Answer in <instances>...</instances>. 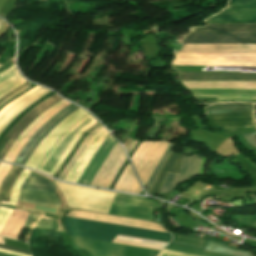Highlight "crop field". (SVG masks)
I'll use <instances>...</instances> for the list:
<instances>
[{
    "label": "crop field",
    "mask_w": 256,
    "mask_h": 256,
    "mask_svg": "<svg viewBox=\"0 0 256 256\" xmlns=\"http://www.w3.org/2000/svg\"><path fill=\"white\" fill-rule=\"evenodd\" d=\"M65 226L70 235L79 236L84 238H90L100 241H107L110 242L113 235H123L159 242L168 243L171 239L169 234L135 229L127 226H120V225H112V224H105L95 221L89 220H81V219H74L65 217ZM115 235L112 242L114 243H121L151 249L161 250L166 244L117 236Z\"/></svg>",
    "instance_id": "crop-field-1"
},
{
    "label": "crop field",
    "mask_w": 256,
    "mask_h": 256,
    "mask_svg": "<svg viewBox=\"0 0 256 256\" xmlns=\"http://www.w3.org/2000/svg\"><path fill=\"white\" fill-rule=\"evenodd\" d=\"M55 184L64 195L68 206L105 214H108L110 205L116 194L114 192L67 185L59 182H55Z\"/></svg>",
    "instance_id": "crop-field-2"
},
{
    "label": "crop field",
    "mask_w": 256,
    "mask_h": 256,
    "mask_svg": "<svg viewBox=\"0 0 256 256\" xmlns=\"http://www.w3.org/2000/svg\"><path fill=\"white\" fill-rule=\"evenodd\" d=\"M70 237L75 247L87 251L90 256H156L159 253L157 250Z\"/></svg>",
    "instance_id": "crop-field-3"
},
{
    "label": "crop field",
    "mask_w": 256,
    "mask_h": 256,
    "mask_svg": "<svg viewBox=\"0 0 256 256\" xmlns=\"http://www.w3.org/2000/svg\"><path fill=\"white\" fill-rule=\"evenodd\" d=\"M152 207L160 205L151 199L117 193L109 214L151 220Z\"/></svg>",
    "instance_id": "crop-field-4"
},
{
    "label": "crop field",
    "mask_w": 256,
    "mask_h": 256,
    "mask_svg": "<svg viewBox=\"0 0 256 256\" xmlns=\"http://www.w3.org/2000/svg\"><path fill=\"white\" fill-rule=\"evenodd\" d=\"M168 145L165 141L141 142L136 150L132 161L143 186Z\"/></svg>",
    "instance_id": "crop-field-5"
},
{
    "label": "crop field",
    "mask_w": 256,
    "mask_h": 256,
    "mask_svg": "<svg viewBox=\"0 0 256 256\" xmlns=\"http://www.w3.org/2000/svg\"><path fill=\"white\" fill-rule=\"evenodd\" d=\"M170 244L196 248L214 253L232 255V256H254L253 253L232 249L226 245L206 240L203 238L192 237L188 235H174Z\"/></svg>",
    "instance_id": "crop-field-6"
},
{
    "label": "crop field",
    "mask_w": 256,
    "mask_h": 256,
    "mask_svg": "<svg viewBox=\"0 0 256 256\" xmlns=\"http://www.w3.org/2000/svg\"><path fill=\"white\" fill-rule=\"evenodd\" d=\"M125 159L124 150L117 142L99 169L91 185L109 188Z\"/></svg>",
    "instance_id": "crop-field-7"
},
{
    "label": "crop field",
    "mask_w": 256,
    "mask_h": 256,
    "mask_svg": "<svg viewBox=\"0 0 256 256\" xmlns=\"http://www.w3.org/2000/svg\"><path fill=\"white\" fill-rule=\"evenodd\" d=\"M183 43L256 44V34L189 33Z\"/></svg>",
    "instance_id": "crop-field-8"
},
{
    "label": "crop field",
    "mask_w": 256,
    "mask_h": 256,
    "mask_svg": "<svg viewBox=\"0 0 256 256\" xmlns=\"http://www.w3.org/2000/svg\"><path fill=\"white\" fill-rule=\"evenodd\" d=\"M86 111L80 109L67 119H65L53 132H51L45 140L41 143L38 147L32 158L26 164L27 167L34 168L38 166L46 152L52 146V144L68 129L70 128L75 122H77L80 118L86 115ZM54 145V144H53Z\"/></svg>",
    "instance_id": "crop-field-9"
},
{
    "label": "crop field",
    "mask_w": 256,
    "mask_h": 256,
    "mask_svg": "<svg viewBox=\"0 0 256 256\" xmlns=\"http://www.w3.org/2000/svg\"><path fill=\"white\" fill-rule=\"evenodd\" d=\"M67 216L81 218V219L95 220V221H100V222H105V223L134 226V227L145 228V229L168 233L163 227H161L158 224L140 221V220L129 219V218L92 213V212H87V211H82V210H73V211L69 212L67 214Z\"/></svg>",
    "instance_id": "crop-field-10"
},
{
    "label": "crop field",
    "mask_w": 256,
    "mask_h": 256,
    "mask_svg": "<svg viewBox=\"0 0 256 256\" xmlns=\"http://www.w3.org/2000/svg\"><path fill=\"white\" fill-rule=\"evenodd\" d=\"M208 124L216 129L229 130L254 127L252 112L208 115Z\"/></svg>",
    "instance_id": "crop-field-11"
},
{
    "label": "crop field",
    "mask_w": 256,
    "mask_h": 256,
    "mask_svg": "<svg viewBox=\"0 0 256 256\" xmlns=\"http://www.w3.org/2000/svg\"><path fill=\"white\" fill-rule=\"evenodd\" d=\"M107 134L108 132L104 128L96 133V135L87 145L74 166L71 168L67 176L64 178V181H71L77 183L82 171L84 170L94 153L97 151Z\"/></svg>",
    "instance_id": "crop-field-12"
},
{
    "label": "crop field",
    "mask_w": 256,
    "mask_h": 256,
    "mask_svg": "<svg viewBox=\"0 0 256 256\" xmlns=\"http://www.w3.org/2000/svg\"><path fill=\"white\" fill-rule=\"evenodd\" d=\"M206 21L256 22V4H229L222 12Z\"/></svg>",
    "instance_id": "crop-field-13"
},
{
    "label": "crop field",
    "mask_w": 256,
    "mask_h": 256,
    "mask_svg": "<svg viewBox=\"0 0 256 256\" xmlns=\"http://www.w3.org/2000/svg\"><path fill=\"white\" fill-rule=\"evenodd\" d=\"M60 98L58 95H53L48 100L44 101L43 103L37 105L35 108H33L31 111H29L24 118L18 122L5 136V138H11L4 149L2 150L0 154V159L5 155V153L8 151L10 146L13 144L15 139L18 137V135L29 125V123L34 120L39 114H41L44 110L51 107L53 104H55L57 101H59Z\"/></svg>",
    "instance_id": "crop-field-14"
},
{
    "label": "crop field",
    "mask_w": 256,
    "mask_h": 256,
    "mask_svg": "<svg viewBox=\"0 0 256 256\" xmlns=\"http://www.w3.org/2000/svg\"><path fill=\"white\" fill-rule=\"evenodd\" d=\"M197 97H217V101L256 100V89H190Z\"/></svg>",
    "instance_id": "crop-field-15"
},
{
    "label": "crop field",
    "mask_w": 256,
    "mask_h": 256,
    "mask_svg": "<svg viewBox=\"0 0 256 256\" xmlns=\"http://www.w3.org/2000/svg\"><path fill=\"white\" fill-rule=\"evenodd\" d=\"M116 142L117 141L110 134L107 135L105 141L100 146L97 153L95 154V156L92 158V160L89 162L86 169L82 173L78 183L90 185L97 170L99 169V167L107 157L109 151L111 150V148Z\"/></svg>",
    "instance_id": "crop-field-16"
},
{
    "label": "crop field",
    "mask_w": 256,
    "mask_h": 256,
    "mask_svg": "<svg viewBox=\"0 0 256 256\" xmlns=\"http://www.w3.org/2000/svg\"><path fill=\"white\" fill-rule=\"evenodd\" d=\"M180 80H256V73L180 72Z\"/></svg>",
    "instance_id": "crop-field-17"
},
{
    "label": "crop field",
    "mask_w": 256,
    "mask_h": 256,
    "mask_svg": "<svg viewBox=\"0 0 256 256\" xmlns=\"http://www.w3.org/2000/svg\"><path fill=\"white\" fill-rule=\"evenodd\" d=\"M19 201L32 203L44 207H49L59 210V199L57 200L54 192L35 191L20 188Z\"/></svg>",
    "instance_id": "crop-field-18"
},
{
    "label": "crop field",
    "mask_w": 256,
    "mask_h": 256,
    "mask_svg": "<svg viewBox=\"0 0 256 256\" xmlns=\"http://www.w3.org/2000/svg\"><path fill=\"white\" fill-rule=\"evenodd\" d=\"M201 158L202 157L199 155L183 156L175 187L180 183L186 181L187 179L193 176H196ZM204 161H205V158H202L197 175H203Z\"/></svg>",
    "instance_id": "crop-field-19"
},
{
    "label": "crop field",
    "mask_w": 256,
    "mask_h": 256,
    "mask_svg": "<svg viewBox=\"0 0 256 256\" xmlns=\"http://www.w3.org/2000/svg\"><path fill=\"white\" fill-rule=\"evenodd\" d=\"M206 27L191 28V32L256 33V24L207 23Z\"/></svg>",
    "instance_id": "crop-field-20"
},
{
    "label": "crop field",
    "mask_w": 256,
    "mask_h": 256,
    "mask_svg": "<svg viewBox=\"0 0 256 256\" xmlns=\"http://www.w3.org/2000/svg\"><path fill=\"white\" fill-rule=\"evenodd\" d=\"M50 91L46 89H39L37 92L32 94L31 96L27 97L26 99L22 100L21 102L14 105L10 108L1 118H0V132L3 128L13 120L19 113H21L25 108L31 105L33 102L44 96L45 94L49 93ZM6 128V127H5ZM4 128V129H5Z\"/></svg>",
    "instance_id": "crop-field-21"
},
{
    "label": "crop field",
    "mask_w": 256,
    "mask_h": 256,
    "mask_svg": "<svg viewBox=\"0 0 256 256\" xmlns=\"http://www.w3.org/2000/svg\"><path fill=\"white\" fill-rule=\"evenodd\" d=\"M188 88H256V81H182Z\"/></svg>",
    "instance_id": "crop-field-22"
},
{
    "label": "crop field",
    "mask_w": 256,
    "mask_h": 256,
    "mask_svg": "<svg viewBox=\"0 0 256 256\" xmlns=\"http://www.w3.org/2000/svg\"><path fill=\"white\" fill-rule=\"evenodd\" d=\"M181 154L171 152L170 156L168 157L167 161L161 168L149 194H159L162 180L167 171L176 172L179 171L180 161H181Z\"/></svg>",
    "instance_id": "crop-field-23"
},
{
    "label": "crop field",
    "mask_w": 256,
    "mask_h": 256,
    "mask_svg": "<svg viewBox=\"0 0 256 256\" xmlns=\"http://www.w3.org/2000/svg\"><path fill=\"white\" fill-rule=\"evenodd\" d=\"M114 189L139 194L141 188L129 163L116 183Z\"/></svg>",
    "instance_id": "crop-field-24"
},
{
    "label": "crop field",
    "mask_w": 256,
    "mask_h": 256,
    "mask_svg": "<svg viewBox=\"0 0 256 256\" xmlns=\"http://www.w3.org/2000/svg\"><path fill=\"white\" fill-rule=\"evenodd\" d=\"M22 171V168L11 167L0 185V201H9L12 186Z\"/></svg>",
    "instance_id": "crop-field-25"
},
{
    "label": "crop field",
    "mask_w": 256,
    "mask_h": 256,
    "mask_svg": "<svg viewBox=\"0 0 256 256\" xmlns=\"http://www.w3.org/2000/svg\"><path fill=\"white\" fill-rule=\"evenodd\" d=\"M29 172H30V170L24 169V171L19 176V178L17 179V181H16V183H15L13 189H12V193H11V197H10L9 203H5V202H2V203H4V204H12V205L16 204V200L18 198L19 187L22 184V182L24 181V179L27 177ZM12 211H13V209H9V208H5V207H1L0 206V229L3 226V224L5 223L6 219L8 218V216L10 215V213Z\"/></svg>",
    "instance_id": "crop-field-26"
},
{
    "label": "crop field",
    "mask_w": 256,
    "mask_h": 256,
    "mask_svg": "<svg viewBox=\"0 0 256 256\" xmlns=\"http://www.w3.org/2000/svg\"><path fill=\"white\" fill-rule=\"evenodd\" d=\"M78 107H73L68 112H66L64 115H62L56 122H54L42 135H40L37 140L34 142V144L30 147V149L27 151V153L24 155L23 159L20 162V165L25 166L28 159L36 149V147L44 140V138L53 130L55 129L65 118L73 114L75 111H77Z\"/></svg>",
    "instance_id": "crop-field-27"
},
{
    "label": "crop field",
    "mask_w": 256,
    "mask_h": 256,
    "mask_svg": "<svg viewBox=\"0 0 256 256\" xmlns=\"http://www.w3.org/2000/svg\"><path fill=\"white\" fill-rule=\"evenodd\" d=\"M207 114L252 111L251 104L230 103L207 107Z\"/></svg>",
    "instance_id": "crop-field-28"
},
{
    "label": "crop field",
    "mask_w": 256,
    "mask_h": 256,
    "mask_svg": "<svg viewBox=\"0 0 256 256\" xmlns=\"http://www.w3.org/2000/svg\"><path fill=\"white\" fill-rule=\"evenodd\" d=\"M74 105H69L59 111L52 119H50L47 123H45L27 142V144L24 146V148L21 150L19 155L14 160V163L19 164L20 160L22 159L23 155L26 153V151L29 149V147L32 145V143L35 141V139L42 134L54 121H56L62 114H64L66 111H68L70 108H72Z\"/></svg>",
    "instance_id": "crop-field-29"
},
{
    "label": "crop field",
    "mask_w": 256,
    "mask_h": 256,
    "mask_svg": "<svg viewBox=\"0 0 256 256\" xmlns=\"http://www.w3.org/2000/svg\"><path fill=\"white\" fill-rule=\"evenodd\" d=\"M66 101H64L63 99L61 101H59L58 103H56L55 105H53L50 109H48L46 112H44L43 114H41L39 117H37L23 132L22 134L16 139V141L14 142V144L11 146V148L9 149V151L7 152V154L5 155V157L3 158V160L8 161V159L10 158V156L13 154V152L15 151V149L17 148V146L20 144V142L22 141V139L28 134V132L42 119L44 118L47 114H49L52 110H54L56 107H58L59 105H61L62 103H64Z\"/></svg>",
    "instance_id": "crop-field-30"
},
{
    "label": "crop field",
    "mask_w": 256,
    "mask_h": 256,
    "mask_svg": "<svg viewBox=\"0 0 256 256\" xmlns=\"http://www.w3.org/2000/svg\"><path fill=\"white\" fill-rule=\"evenodd\" d=\"M25 227L56 230L53 219L29 214Z\"/></svg>",
    "instance_id": "crop-field-31"
},
{
    "label": "crop field",
    "mask_w": 256,
    "mask_h": 256,
    "mask_svg": "<svg viewBox=\"0 0 256 256\" xmlns=\"http://www.w3.org/2000/svg\"><path fill=\"white\" fill-rule=\"evenodd\" d=\"M23 188L53 191L52 187L43 178L34 174H29L26 180L21 185Z\"/></svg>",
    "instance_id": "crop-field-32"
},
{
    "label": "crop field",
    "mask_w": 256,
    "mask_h": 256,
    "mask_svg": "<svg viewBox=\"0 0 256 256\" xmlns=\"http://www.w3.org/2000/svg\"><path fill=\"white\" fill-rule=\"evenodd\" d=\"M99 124L98 122L96 124H94L92 127H90L88 130H86L83 135L80 137V139L76 142V144L74 145L72 151L70 152V154L67 156V158L65 159V161L62 163V165L59 167V169L57 170V172L54 174V177L58 178V176L60 175V173L62 172V170L65 168V166L67 165V163L69 162V160L71 159V157L74 155V153L77 151V149L79 148V146L81 145V143L83 142V140L87 137V135L94 130L96 127H98Z\"/></svg>",
    "instance_id": "crop-field-33"
},
{
    "label": "crop field",
    "mask_w": 256,
    "mask_h": 256,
    "mask_svg": "<svg viewBox=\"0 0 256 256\" xmlns=\"http://www.w3.org/2000/svg\"><path fill=\"white\" fill-rule=\"evenodd\" d=\"M102 128V125L99 126L97 129H95L94 131H92L89 136L84 140V142L82 143V145L80 146V148L78 149V151L76 152V154L73 156V158L70 160L69 164L67 165V167L65 168V170L62 172V174L59 176V179L63 180V178L66 176V174L68 173V171L70 170V168L73 166V164L75 163V161L77 160V158L79 157V155L82 153V151L84 150V148L86 147V145L89 143V141L92 139V137L95 135V133Z\"/></svg>",
    "instance_id": "crop-field-34"
},
{
    "label": "crop field",
    "mask_w": 256,
    "mask_h": 256,
    "mask_svg": "<svg viewBox=\"0 0 256 256\" xmlns=\"http://www.w3.org/2000/svg\"><path fill=\"white\" fill-rule=\"evenodd\" d=\"M173 147H174V145H173V144H170V146L168 147V149L165 151V153H164L163 156L161 157V159H160L159 163L157 164L156 168L154 169V171H153L151 177L149 178V180H148V182H147V184H146L147 187H148V189H147V191H146L147 194H148V192H149V190H150V188H151V186H152V184H153V182H154V180H155V178H156V176H157V174H158V172H159L161 166H162L163 163L166 161V159H167V157L169 156L170 152L172 151Z\"/></svg>",
    "instance_id": "crop-field-35"
},
{
    "label": "crop field",
    "mask_w": 256,
    "mask_h": 256,
    "mask_svg": "<svg viewBox=\"0 0 256 256\" xmlns=\"http://www.w3.org/2000/svg\"><path fill=\"white\" fill-rule=\"evenodd\" d=\"M177 175L178 174H175V173H170V172L167 173V175L163 181L160 193L169 192L172 190V188L175 185Z\"/></svg>",
    "instance_id": "crop-field-36"
},
{
    "label": "crop field",
    "mask_w": 256,
    "mask_h": 256,
    "mask_svg": "<svg viewBox=\"0 0 256 256\" xmlns=\"http://www.w3.org/2000/svg\"><path fill=\"white\" fill-rule=\"evenodd\" d=\"M166 248L172 249V250H177V251H182V252H186V253H190V254H194V255H200V256H224V255H218V254H214V253L199 251V250H195V249H191V248H182V247L172 246V245H168Z\"/></svg>",
    "instance_id": "crop-field-37"
},
{
    "label": "crop field",
    "mask_w": 256,
    "mask_h": 256,
    "mask_svg": "<svg viewBox=\"0 0 256 256\" xmlns=\"http://www.w3.org/2000/svg\"><path fill=\"white\" fill-rule=\"evenodd\" d=\"M237 224L242 226L255 225L256 226V215L249 216H232L231 218Z\"/></svg>",
    "instance_id": "crop-field-38"
},
{
    "label": "crop field",
    "mask_w": 256,
    "mask_h": 256,
    "mask_svg": "<svg viewBox=\"0 0 256 256\" xmlns=\"http://www.w3.org/2000/svg\"><path fill=\"white\" fill-rule=\"evenodd\" d=\"M256 115V104H254ZM244 137L248 144L256 148V133L244 134Z\"/></svg>",
    "instance_id": "crop-field-39"
},
{
    "label": "crop field",
    "mask_w": 256,
    "mask_h": 256,
    "mask_svg": "<svg viewBox=\"0 0 256 256\" xmlns=\"http://www.w3.org/2000/svg\"><path fill=\"white\" fill-rule=\"evenodd\" d=\"M159 256H194V255H189V254H185L177 251L164 249L161 251Z\"/></svg>",
    "instance_id": "crop-field-40"
},
{
    "label": "crop field",
    "mask_w": 256,
    "mask_h": 256,
    "mask_svg": "<svg viewBox=\"0 0 256 256\" xmlns=\"http://www.w3.org/2000/svg\"><path fill=\"white\" fill-rule=\"evenodd\" d=\"M29 84H30V83L27 82V83H25V84H23V85L17 87L16 89L12 90L11 92H9L7 95H5L4 97H2V98L0 99V103H1L2 101H4L5 99L11 97L12 95H14L15 93H17L18 91H20L21 89H23L24 87H26V86L29 85Z\"/></svg>",
    "instance_id": "crop-field-41"
},
{
    "label": "crop field",
    "mask_w": 256,
    "mask_h": 256,
    "mask_svg": "<svg viewBox=\"0 0 256 256\" xmlns=\"http://www.w3.org/2000/svg\"><path fill=\"white\" fill-rule=\"evenodd\" d=\"M0 247L1 248H5V249H9V250H13V251H17V252H21V253L30 254L29 251L23 250V249H19V248H14V247L6 246V245H1V244H0Z\"/></svg>",
    "instance_id": "crop-field-42"
},
{
    "label": "crop field",
    "mask_w": 256,
    "mask_h": 256,
    "mask_svg": "<svg viewBox=\"0 0 256 256\" xmlns=\"http://www.w3.org/2000/svg\"><path fill=\"white\" fill-rule=\"evenodd\" d=\"M16 74H18V72H17V69L15 68V69L12 70L10 73H8V74H6V75L0 77V83H1L2 81H4V80H6V79H8V78H10V77H12V76H14V75H16Z\"/></svg>",
    "instance_id": "crop-field-43"
},
{
    "label": "crop field",
    "mask_w": 256,
    "mask_h": 256,
    "mask_svg": "<svg viewBox=\"0 0 256 256\" xmlns=\"http://www.w3.org/2000/svg\"><path fill=\"white\" fill-rule=\"evenodd\" d=\"M230 3H256V0H231Z\"/></svg>",
    "instance_id": "crop-field-44"
},
{
    "label": "crop field",
    "mask_w": 256,
    "mask_h": 256,
    "mask_svg": "<svg viewBox=\"0 0 256 256\" xmlns=\"http://www.w3.org/2000/svg\"><path fill=\"white\" fill-rule=\"evenodd\" d=\"M0 251H1V252H5V253H9V254H13V255H16V256H29V255H25V254H21V253L13 252V251H9V250H5V249H1V248H0Z\"/></svg>",
    "instance_id": "crop-field-45"
},
{
    "label": "crop field",
    "mask_w": 256,
    "mask_h": 256,
    "mask_svg": "<svg viewBox=\"0 0 256 256\" xmlns=\"http://www.w3.org/2000/svg\"><path fill=\"white\" fill-rule=\"evenodd\" d=\"M14 68H15V65L13 64L9 69H7L6 71L0 73V76H2V75H4V74L8 73L9 71H11V70L14 69Z\"/></svg>",
    "instance_id": "crop-field-46"
},
{
    "label": "crop field",
    "mask_w": 256,
    "mask_h": 256,
    "mask_svg": "<svg viewBox=\"0 0 256 256\" xmlns=\"http://www.w3.org/2000/svg\"><path fill=\"white\" fill-rule=\"evenodd\" d=\"M249 196L253 199L254 204H252V205H255L256 204V196L253 194H250Z\"/></svg>",
    "instance_id": "crop-field-47"
},
{
    "label": "crop field",
    "mask_w": 256,
    "mask_h": 256,
    "mask_svg": "<svg viewBox=\"0 0 256 256\" xmlns=\"http://www.w3.org/2000/svg\"><path fill=\"white\" fill-rule=\"evenodd\" d=\"M4 166H5V164L0 163V171L3 169Z\"/></svg>",
    "instance_id": "crop-field-48"
},
{
    "label": "crop field",
    "mask_w": 256,
    "mask_h": 256,
    "mask_svg": "<svg viewBox=\"0 0 256 256\" xmlns=\"http://www.w3.org/2000/svg\"><path fill=\"white\" fill-rule=\"evenodd\" d=\"M3 21L0 20V26L2 25Z\"/></svg>",
    "instance_id": "crop-field-49"
},
{
    "label": "crop field",
    "mask_w": 256,
    "mask_h": 256,
    "mask_svg": "<svg viewBox=\"0 0 256 256\" xmlns=\"http://www.w3.org/2000/svg\"><path fill=\"white\" fill-rule=\"evenodd\" d=\"M1 66V65H0Z\"/></svg>",
    "instance_id": "crop-field-50"
}]
</instances>
